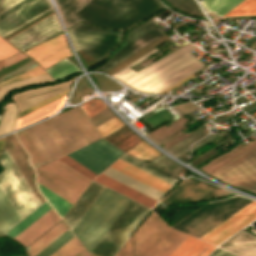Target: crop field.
<instances>
[{"instance_id": "8a807250", "label": "crop field", "mask_w": 256, "mask_h": 256, "mask_svg": "<svg viewBox=\"0 0 256 256\" xmlns=\"http://www.w3.org/2000/svg\"><path fill=\"white\" fill-rule=\"evenodd\" d=\"M194 46L188 43L137 72L130 69L157 52L156 48L112 77L137 91L159 94L206 66L188 53Z\"/></svg>"}, {"instance_id": "ac0d7876", "label": "crop field", "mask_w": 256, "mask_h": 256, "mask_svg": "<svg viewBox=\"0 0 256 256\" xmlns=\"http://www.w3.org/2000/svg\"><path fill=\"white\" fill-rule=\"evenodd\" d=\"M162 6L158 0H91L75 16L86 23L123 31Z\"/></svg>"}, {"instance_id": "34b2d1b8", "label": "crop field", "mask_w": 256, "mask_h": 256, "mask_svg": "<svg viewBox=\"0 0 256 256\" xmlns=\"http://www.w3.org/2000/svg\"><path fill=\"white\" fill-rule=\"evenodd\" d=\"M186 237L153 211L115 256H168Z\"/></svg>"}, {"instance_id": "412701ff", "label": "crop field", "mask_w": 256, "mask_h": 256, "mask_svg": "<svg viewBox=\"0 0 256 256\" xmlns=\"http://www.w3.org/2000/svg\"><path fill=\"white\" fill-rule=\"evenodd\" d=\"M124 196L108 189L104 188L98 198L94 201L91 207L87 210L81 220L72 230L80 242L85 247L93 235L97 232L100 226L108 218L111 212L119 204ZM130 199L124 197L116 209L112 212L109 218L101 226L98 232L90 240L85 247L90 253L94 246L98 243L101 237L105 234L108 228L112 225L115 219L119 216L122 210L129 203Z\"/></svg>"}, {"instance_id": "f4fd0767", "label": "crop field", "mask_w": 256, "mask_h": 256, "mask_svg": "<svg viewBox=\"0 0 256 256\" xmlns=\"http://www.w3.org/2000/svg\"><path fill=\"white\" fill-rule=\"evenodd\" d=\"M36 172L39 184L72 204L91 181L58 159L37 168Z\"/></svg>"}, {"instance_id": "dd49c442", "label": "crop field", "mask_w": 256, "mask_h": 256, "mask_svg": "<svg viewBox=\"0 0 256 256\" xmlns=\"http://www.w3.org/2000/svg\"><path fill=\"white\" fill-rule=\"evenodd\" d=\"M149 210L131 200L90 254L92 256H114L128 238L131 230Z\"/></svg>"}, {"instance_id": "e52e79f7", "label": "crop field", "mask_w": 256, "mask_h": 256, "mask_svg": "<svg viewBox=\"0 0 256 256\" xmlns=\"http://www.w3.org/2000/svg\"><path fill=\"white\" fill-rule=\"evenodd\" d=\"M67 32L76 51L80 49L99 60L118 44L121 36L119 33L83 24H77Z\"/></svg>"}, {"instance_id": "d8731c3e", "label": "crop field", "mask_w": 256, "mask_h": 256, "mask_svg": "<svg viewBox=\"0 0 256 256\" xmlns=\"http://www.w3.org/2000/svg\"><path fill=\"white\" fill-rule=\"evenodd\" d=\"M236 187L256 193V147L211 174Z\"/></svg>"}, {"instance_id": "5a996713", "label": "crop field", "mask_w": 256, "mask_h": 256, "mask_svg": "<svg viewBox=\"0 0 256 256\" xmlns=\"http://www.w3.org/2000/svg\"><path fill=\"white\" fill-rule=\"evenodd\" d=\"M51 9L47 0H21L0 13V36H5Z\"/></svg>"}, {"instance_id": "3316defc", "label": "crop field", "mask_w": 256, "mask_h": 256, "mask_svg": "<svg viewBox=\"0 0 256 256\" xmlns=\"http://www.w3.org/2000/svg\"><path fill=\"white\" fill-rule=\"evenodd\" d=\"M122 154L100 139L68 155L98 175Z\"/></svg>"}, {"instance_id": "28ad6ade", "label": "crop field", "mask_w": 256, "mask_h": 256, "mask_svg": "<svg viewBox=\"0 0 256 256\" xmlns=\"http://www.w3.org/2000/svg\"><path fill=\"white\" fill-rule=\"evenodd\" d=\"M255 219L256 202L253 201L205 235L203 234L204 236L200 239L218 245Z\"/></svg>"}, {"instance_id": "d1516ede", "label": "crop field", "mask_w": 256, "mask_h": 256, "mask_svg": "<svg viewBox=\"0 0 256 256\" xmlns=\"http://www.w3.org/2000/svg\"><path fill=\"white\" fill-rule=\"evenodd\" d=\"M155 25L157 24L151 20L144 25L136 28L135 30L129 32L127 41L124 46L107 64L99 69L103 71L109 69L113 65L117 64L118 62L135 53L147 44L164 35L154 27Z\"/></svg>"}, {"instance_id": "22f410ed", "label": "crop field", "mask_w": 256, "mask_h": 256, "mask_svg": "<svg viewBox=\"0 0 256 256\" xmlns=\"http://www.w3.org/2000/svg\"><path fill=\"white\" fill-rule=\"evenodd\" d=\"M58 32L60 29L57 21L54 15H51L7 41L19 50L25 51Z\"/></svg>"}, {"instance_id": "cbeb9de0", "label": "crop field", "mask_w": 256, "mask_h": 256, "mask_svg": "<svg viewBox=\"0 0 256 256\" xmlns=\"http://www.w3.org/2000/svg\"><path fill=\"white\" fill-rule=\"evenodd\" d=\"M25 53L44 69L72 54L66 45L63 34L31 48Z\"/></svg>"}, {"instance_id": "5142ce71", "label": "crop field", "mask_w": 256, "mask_h": 256, "mask_svg": "<svg viewBox=\"0 0 256 256\" xmlns=\"http://www.w3.org/2000/svg\"><path fill=\"white\" fill-rule=\"evenodd\" d=\"M49 122L70 152L88 144L66 112L49 119Z\"/></svg>"}, {"instance_id": "d9b57169", "label": "crop field", "mask_w": 256, "mask_h": 256, "mask_svg": "<svg viewBox=\"0 0 256 256\" xmlns=\"http://www.w3.org/2000/svg\"><path fill=\"white\" fill-rule=\"evenodd\" d=\"M110 168L164 194L171 185L121 161L117 160L115 163H113Z\"/></svg>"}, {"instance_id": "733c2abd", "label": "crop field", "mask_w": 256, "mask_h": 256, "mask_svg": "<svg viewBox=\"0 0 256 256\" xmlns=\"http://www.w3.org/2000/svg\"><path fill=\"white\" fill-rule=\"evenodd\" d=\"M5 138L7 139V144L5 147L6 151L8 152V154L10 155V157L12 158V160L14 161L22 175L25 177V179L27 180V182L29 183V185L31 186V188L33 189L41 203L44 202L45 200L40 194L36 192L33 182L31 180L33 170L28 162L27 155L22 150L21 146L19 145L13 134L8 135Z\"/></svg>"}, {"instance_id": "4a817a6b", "label": "crop field", "mask_w": 256, "mask_h": 256, "mask_svg": "<svg viewBox=\"0 0 256 256\" xmlns=\"http://www.w3.org/2000/svg\"><path fill=\"white\" fill-rule=\"evenodd\" d=\"M103 188L104 186L93 181L88 189L86 188L87 190L84 192V194L82 193L83 195L64 218L71 230L90 207L96 197L100 194Z\"/></svg>"}, {"instance_id": "bc2a9ffb", "label": "crop field", "mask_w": 256, "mask_h": 256, "mask_svg": "<svg viewBox=\"0 0 256 256\" xmlns=\"http://www.w3.org/2000/svg\"><path fill=\"white\" fill-rule=\"evenodd\" d=\"M59 220L60 218L51 209L14 239L22 242L26 247Z\"/></svg>"}, {"instance_id": "214f88e0", "label": "crop field", "mask_w": 256, "mask_h": 256, "mask_svg": "<svg viewBox=\"0 0 256 256\" xmlns=\"http://www.w3.org/2000/svg\"><path fill=\"white\" fill-rule=\"evenodd\" d=\"M214 248L188 236L169 256H207Z\"/></svg>"}, {"instance_id": "92a150f3", "label": "crop field", "mask_w": 256, "mask_h": 256, "mask_svg": "<svg viewBox=\"0 0 256 256\" xmlns=\"http://www.w3.org/2000/svg\"><path fill=\"white\" fill-rule=\"evenodd\" d=\"M95 181L149 207V208H152L153 205L156 203V201L104 176V175H99L97 178L94 179Z\"/></svg>"}, {"instance_id": "dafd665d", "label": "crop field", "mask_w": 256, "mask_h": 256, "mask_svg": "<svg viewBox=\"0 0 256 256\" xmlns=\"http://www.w3.org/2000/svg\"><path fill=\"white\" fill-rule=\"evenodd\" d=\"M68 229L69 228L63 221L57 223L54 227H52L49 231H47L45 234H43L40 238H38L35 242H33L30 246L26 248L29 256H35Z\"/></svg>"}, {"instance_id": "00972430", "label": "crop field", "mask_w": 256, "mask_h": 256, "mask_svg": "<svg viewBox=\"0 0 256 256\" xmlns=\"http://www.w3.org/2000/svg\"><path fill=\"white\" fill-rule=\"evenodd\" d=\"M66 29L78 21L73 16L90 0H55Z\"/></svg>"}, {"instance_id": "a9b5d70f", "label": "crop field", "mask_w": 256, "mask_h": 256, "mask_svg": "<svg viewBox=\"0 0 256 256\" xmlns=\"http://www.w3.org/2000/svg\"><path fill=\"white\" fill-rule=\"evenodd\" d=\"M67 96V95H66ZM66 96L48 104V105H45L21 118H19L17 120V124H16V129L22 127V126H25L27 124H30V123H33L35 121H38L50 114H52L53 112L57 111L63 104Z\"/></svg>"}, {"instance_id": "4177f3b9", "label": "crop field", "mask_w": 256, "mask_h": 256, "mask_svg": "<svg viewBox=\"0 0 256 256\" xmlns=\"http://www.w3.org/2000/svg\"><path fill=\"white\" fill-rule=\"evenodd\" d=\"M31 130L51 158V160L64 155L42 123L31 127Z\"/></svg>"}, {"instance_id": "730fd06b", "label": "crop field", "mask_w": 256, "mask_h": 256, "mask_svg": "<svg viewBox=\"0 0 256 256\" xmlns=\"http://www.w3.org/2000/svg\"><path fill=\"white\" fill-rule=\"evenodd\" d=\"M0 199L4 203L5 207L7 208V210L9 211V213L11 214L15 222L19 220L20 219L19 216L17 215L16 211L8 201L7 197L5 196L1 188H0ZM1 200H0V234L5 233L18 222V221L16 223L14 222V220L12 219V217L10 216V214L2 204Z\"/></svg>"}, {"instance_id": "eef30255", "label": "crop field", "mask_w": 256, "mask_h": 256, "mask_svg": "<svg viewBox=\"0 0 256 256\" xmlns=\"http://www.w3.org/2000/svg\"><path fill=\"white\" fill-rule=\"evenodd\" d=\"M103 174H105V175H107V176H109V177H111V178L157 200V201L160 198V196L162 195V194H160V193H158V192H156V191H154V190H152V189H150V188H148V187H146V186H144V185H142V184H140V183L110 169V168H108L106 171H104Z\"/></svg>"}, {"instance_id": "ae1a2a85", "label": "crop field", "mask_w": 256, "mask_h": 256, "mask_svg": "<svg viewBox=\"0 0 256 256\" xmlns=\"http://www.w3.org/2000/svg\"><path fill=\"white\" fill-rule=\"evenodd\" d=\"M120 159L170 183V184H174L176 182V179L172 178L173 175L161 170V169H158L152 165H149V164H146V163H143L141 162L140 160L132 157V156H128V155H124L122 156Z\"/></svg>"}, {"instance_id": "d3111659", "label": "crop field", "mask_w": 256, "mask_h": 256, "mask_svg": "<svg viewBox=\"0 0 256 256\" xmlns=\"http://www.w3.org/2000/svg\"><path fill=\"white\" fill-rule=\"evenodd\" d=\"M51 208L48 206V204L45 202L40 207H38L35 211H33L31 214H29L26 218H24L21 222H19L17 225H15L12 229H10L5 234L15 237L20 232H22L24 229H26L29 225H31L34 221H36L39 217H41L43 214H45L48 210Z\"/></svg>"}, {"instance_id": "750c4746", "label": "crop field", "mask_w": 256, "mask_h": 256, "mask_svg": "<svg viewBox=\"0 0 256 256\" xmlns=\"http://www.w3.org/2000/svg\"><path fill=\"white\" fill-rule=\"evenodd\" d=\"M16 135L20 140V142L25 147V149L27 150V152L30 154L32 164L35 168L47 163L44 157L41 155V153L37 149V147L34 145L32 140L30 139V137L27 135L25 130L16 133Z\"/></svg>"}, {"instance_id": "bd1437ed", "label": "crop field", "mask_w": 256, "mask_h": 256, "mask_svg": "<svg viewBox=\"0 0 256 256\" xmlns=\"http://www.w3.org/2000/svg\"><path fill=\"white\" fill-rule=\"evenodd\" d=\"M243 0H203L200 3L206 11H213L218 16L224 15Z\"/></svg>"}, {"instance_id": "1d83c4d3", "label": "crop field", "mask_w": 256, "mask_h": 256, "mask_svg": "<svg viewBox=\"0 0 256 256\" xmlns=\"http://www.w3.org/2000/svg\"><path fill=\"white\" fill-rule=\"evenodd\" d=\"M50 76L53 79H59V78H64L74 72L80 71L77 67L76 64L68 61V60H63L59 62L58 64L52 66L48 70H46Z\"/></svg>"}, {"instance_id": "120bbe31", "label": "crop field", "mask_w": 256, "mask_h": 256, "mask_svg": "<svg viewBox=\"0 0 256 256\" xmlns=\"http://www.w3.org/2000/svg\"><path fill=\"white\" fill-rule=\"evenodd\" d=\"M38 183V182H37ZM40 192L45 196V198L49 201L55 211L63 217L67 210L70 208L72 204L68 203L67 201L63 200L59 196L55 195L54 193L50 192L49 190L45 189L41 185L38 184Z\"/></svg>"}, {"instance_id": "d32e631a", "label": "crop field", "mask_w": 256, "mask_h": 256, "mask_svg": "<svg viewBox=\"0 0 256 256\" xmlns=\"http://www.w3.org/2000/svg\"><path fill=\"white\" fill-rule=\"evenodd\" d=\"M87 253L74 237L51 256H89Z\"/></svg>"}, {"instance_id": "5866460e", "label": "crop field", "mask_w": 256, "mask_h": 256, "mask_svg": "<svg viewBox=\"0 0 256 256\" xmlns=\"http://www.w3.org/2000/svg\"><path fill=\"white\" fill-rule=\"evenodd\" d=\"M128 153L134 156L140 157L142 159H149V160L161 154L143 141L139 143L137 146H135L133 149H131Z\"/></svg>"}, {"instance_id": "028f5c9d", "label": "crop field", "mask_w": 256, "mask_h": 256, "mask_svg": "<svg viewBox=\"0 0 256 256\" xmlns=\"http://www.w3.org/2000/svg\"><path fill=\"white\" fill-rule=\"evenodd\" d=\"M256 14V0H244L224 16L254 15Z\"/></svg>"}, {"instance_id": "e1f06a70", "label": "crop field", "mask_w": 256, "mask_h": 256, "mask_svg": "<svg viewBox=\"0 0 256 256\" xmlns=\"http://www.w3.org/2000/svg\"><path fill=\"white\" fill-rule=\"evenodd\" d=\"M73 234L70 230L66 231L63 235H61L58 239H56L53 243L47 246L44 250H42L36 256H49L62 245H64L67 241L73 238Z\"/></svg>"}, {"instance_id": "0bd39190", "label": "crop field", "mask_w": 256, "mask_h": 256, "mask_svg": "<svg viewBox=\"0 0 256 256\" xmlns=\"http://www.w3.org/2000/svg\"><path fill=\"white\" fill-rule=\"evenodd\" d=\"M204 136H206V133L204 131L200 130V131L196 132L195 134L191 135L190 137L186 138L185 140L181 141L177 145L173 146L172 148L168 149L167 151L174 154V153L178 152L179 150L185 148L186 146L190 145L192 142H194ZM189 147L190 146L186 147L185 149L179 151L178 153H176L174 155L176 156V155L182 153L183 151L189 149ZM187 151H189V150H187ZM187 151H185V152H187ZM185 152H183V153H185ZM182 154H180V155H182ZM180 155H178V156H180Z\"/></svg>"}, {"instance_id": "b80d0937", "label": "crop field", "mask_w": 256, "mask_h": 256, "mask_svg": "<svg viewBox=\"0 0 256 256\" xmlns=\"http://www.w3.org/2000/svg\"><path fill=\"white\" fill-rule=\"evenodd\" d=\"M178 9L198 16L203 15L194 0H166Z\"/></svg>"}, {"instance_id": "c035e120", "label": "crop field", "mask_w": 256, "mask_h": 256, "mask_svg": "<svg viewBox=\"0 0 256 256\" xmlns=\"http://www.w3.org/2000/svg\"><path fill=\"white\" fill-rule=\"evenodd\" d=\"M41 74H45V72L41 69V67L39 65L27 70L24 73H21L19 75H16L12 78H9L5 81L0 82V86H3L5 84L11 83L13 81H17V80H21V79H25V78H29V77H33V76H37V75H41Z\"/></svg>"}, {"instance_id": "c21b1889", "label": "crop field", "mask_w": 256, "mask_h": 256, "mask_svg": "<svg viewBox=\"0 0 256 256\" xmlns=\"http://www.w3.org/2000/svg\"><path fill=\"white\" fill-rule=\"evenodd\" d=\"M150 162L163 167L173 173H178L180 170H182L183 168L179 167L178 165H176L174 162H172L171 160H169L168 158H166L164 155H159L158 157L154 158L153 160H151Z\"/></svg>"}, {"instance_id": "03da06ac", "label": "crop field", "mask_w": 256, "mask_h": 256, "mask_svg": "<svg viewBox=\"0 0 256 256\" xmlns=\"http://www.w3.org/2000/svg\"><path fill=\"white\" fill-rule=\"evenodd\" d=\"M124 125L121 121H119L116 117L105 122L104 124L100 125L97 127V130L101 134L102 138L105 137L106 135L110 134L117 128L121 127Z\"/></svg>"}, {"instance_id": "b54c1fbb", "label": "crop field", "mask_w": 256, "mask_h": 256, "mask_svg": "<svg viewBox=\"0 0 256 256\" xmlns=\"http://www.w3.org/2000/svg\"><path fill=\"white\" fill-rule=\"evenodd\" d=\"M59 159L61 161H63L64 163L68 164L69 166H71L72 168H74L75 170H77L78 172H80L81 174L85 175L86 177H88L91 180L97 176L67 155H65Z\"/></svg>"}, {"instance_id": "5d738f31", "label": "crop field", "mask_w": 256, "mask_h": 256, "mask_svg": "<svg viewBox=\"0 0 256 256\" xmlns=\"http://www.w3.org/2000/svg\"><path fill=\"white\" fill-rule=\"evenodd\" d=\"M94 104V105H90V104ZM84 106L83 109L86 112V114L90 117H92L93 115H95L96 113L100 112L101 110H103L104 108H106L105 104L100 101V100H89L85 103H83Z\"/></svg>"}, {"instance_id": "d23c7cc5", "label": "crop field", "mask_w": 256, "mask_h": 256, "mask_svg": "<svg viewBox=\"0 0 256 256\" xmlns=\"http://www.w3.org/2000/svg\"><path fill=\"white\" fill-rule=\"evenodd\" d=\"M43 125L46 127V129L48 130V132L51 134V136L54 138V140L56 141V143L59 145V147L61 148V150L64 152V154L69 153V150L67 149V147L64 145V143L62 142V140L60 139V137L57 135V133L55 132V130L53 129V127L50 125V123L48 122V120L42 122ZM62 152V153H63Z\"/></svg>"}, {"instance_id": "425ffa30", "label": "crop field", "mask_w": 256, "mask_h": 256, "mask_svg": "<svg viewBox=\"0 0 256 256\" xmlns=\"http://www.w3.org/2000/svg\"><path fill=\"white\" fill-rule=\"evenodd\" d=\"M68 91H69V89H67V90H65V91H63V92H61V93H59V94H57V95H55V96L45 100V101H43V102H41V103H39V104H37V105H35L33 107H31V108L21 112V113H19L18 118L23 116V115H25V114H27V113H29V112H31V111H33V110H35V109H37V108H39V107H41V106H43V105H45V104H48V103H50V102H52V101H54V100H56V99H58V98H60V97H62L64 95H66L68 93Z\"/></svg>"}, {"instance_id": "25e5ab78", "label": "crop field", "mask_w": 256, "mask_h": 256, "mask_svg": "<svg viewBox=\"0 0 256 256\" xmlns=\"http://www.w3.org/2000/svg\"><path fill=\"white\" fill-rule=\"evenodd\" d=\"M16 52H18V50L0 38V59L6 58Z\"/></svg>"}, {"instance_id": "73cf0c24", "label": "crop field", "mask_w": 256, "mask_h": 256, "mask_svg": "<svg viewBox=\"0 0 256 256\" xmlns=\"http://www.w3.org/2000/svg\"><path fill=\"white\" fill-rule=\"evenodd\" d=\"M35 65H37V63H35V62L32 60V61L26 63L25 65L21 66L20 68L14 70L13 72H11V73L5 75L4 77L0 78V81L4 80V79H6V78H8V77H10V76H12V75H14V74H17V73H19V72H21V71H24V70H26V69H28V68H31V67H33V66H35Z\"/></svg>"}, {"instance_id": "89e229c0", "label": "crop field", "mask_w": 256, "mask_h": 256, "mask_svg": "<svg viewBox=\"0 0 256 256\" xmlns=\"http://www.w3.org/2000/svg\"><path fill=\"white\" fill-rule=\"evenodd\" d=\"M26 132L31 137V139L33 140L35 145L38 147V149L40 150L42 155L45 157L47 162L51 161L50 158L48 157V155L46 154V152L44 151V149L42 148V146L40 145V143L38 142V140L36 139V137L34 136V134L32 133V131L30 130V128L26 129Z\"/></svg>"}, {"instance_id": "1f2cbd36", "label": "crop field", "mask_w": 256, "mask_h": 256, "mask_svg": "<svg viewBox=\"0 0 256 256\" xmlns=\"http://www.w3.org/2000/svg\"><path fill=\"white\" fill-rule=\"evenodd\" d=\"M235 254L216 248L209 256H234Z\"/></svg>"}, {"instance_id": "dbb93151", "label": "crop field", "mask_w": 256, "mask_h": 256, "mask_svg": "<svg viewBox=\"0 0 256 256\" xmlns=\"http://www.w3.org/2000/svg\"><path fill=\"white\" fill-rule=\"evenodd\" d=\"M25 56H26V55H24V54L18 53V54H16V55H14V56H12V57L6 59V65H5V66H7V65H9V64H11V63H13V62H15V61H17V60H19V59L25 57Z\"/></svg>"}, {"instance_id": "0fb4a251", "label": "crop field", "mask_w": 256, "mask_h": 256, "mask_svg": "<svg viewBox=\"0 0 256 256\" xmlns=\"http://www.w3.org/2000/svg\"><path fill=\"white\" fill-rule=\"evenodd\" d=\"M18 1L19 0H3L1 7H0V12Z\"/></svg>"}, {"instance_id": "1d79db26", "label": "crop field", "mask_w": 256, "mask_h": 256, "mask_svg": "<svg viewBox=\"0 0 256 256\" xmlns=\"http://www.w3.org/2000/svg\"><path fill=\"white\" fill-rule=\"evenodd\" d=\"M193 77H195L193 74L190 75V76H188L187 78H185L184 80L180 81L179 83H177L176 85H174V86H172L171 88L167 89L166 91H164V92L161 93V94L166 93V92L169 91L170 89H172V88H174V87H176V86H178V85H180V84L186 82L187 80H189V79H191V78H193Z\"/></svg>"}, {"instance_id": "9d1cf04e", "label": "crop field", "mask_w": 256, "mask_h": 256, "mask_svg": "<svg viewBox=\"0 0 256 256\" xmlns=\"http://www.w3.org/2000/svg\"><path fill=\"white\" fill-rule=\"evenodd\" d=\"M211 136H213V134H210V135L206 136L205 138L199 140L198 142L194 143V144L192 145V148H194L195 146L199 145L200 143H202V142L205 141L206 139L210 138Z\"/></svg>"}, {"instance_id": "447ae74e", "label": "crop field", "mask_w": 256, "mask_h": 256, "mask_svg": "<svg viewBox=\"0 0 256 256\" xmlns=\"http://www.w3.org/2000/svg\"><path fill=\"white\" fill-rule=\"evenodd\" d=\"M4 143H5L4 138H1L0 139V152H1L2 148H3V146H4Z\"/></svg>"}, {"instance_id": "0765c3eb", "label": "crop field", "mask_w": 256, "mask_h": 256, "mask_svg": "<svg viewBox=\"0 0 256 256\" xmlns=\"http://www.w3.org/2000/svg\"><path fill=\"white\" fill-rule=\"evenodd\" d=\"M4 64V60L0 61V65H3Z\"/></svg>"}, {"instance_id": "db79e9e6", "label": "crop field", "mask_w": 256, "mask_h": 256, "mask_svg": "<svg viewBox=\"0 0 256 256\" xmlns=\"http://www.w3.org/2000/svg\"><path fill=\"white\" fill-rule=\"evenodd\" d=\"M3 66H4V65H3ZM3 66H0V69H1Z\"/></svg>"}, {"instance_id": "7b73153f", "label": "crop field", "mask_w": 256, "mask_h": 256, "mask_svg": "<svg viewBox=\"0 0 256 256\" xmlns=\"http://www.w3.org/2000/svg\"><path fill=\"white\" fill-rule=\"evenodd\" d=\"M0 2H1V0H0Z\"/></svg>"}]
</instances>
